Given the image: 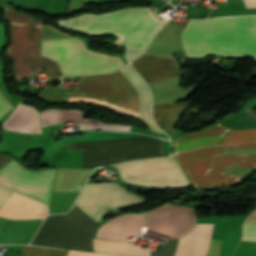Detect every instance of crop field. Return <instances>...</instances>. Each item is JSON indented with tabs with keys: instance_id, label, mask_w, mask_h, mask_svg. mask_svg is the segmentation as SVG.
I'll list each match as a JSON object with an SVG mask.
<instances>
[{
	"instance_id": "24",
	"label": "crop field",
	"mask_w": 256,
	"mask_h": 256,
	"mask_svg": "<svg viewBox=\"0 0 256 256\" xmlns=\"http://www.w3.org/2000/svg\"><path fill=\"white\" fill-rule=\"evenodd\" d=\"M68 251L24 246L18 256H67Z\"/></svg>"
},
{
	"instance_id": "2",
	"label": "crop field",
	"mask_w": 256,
	"mask_h": 256,
	"mask_svg": "<svg viewBox=\"0 0 256 256\" xmlns=\"http://www.w3.org/2000/svg\"><path fill=\"white\" fill-rule=\"evenodd\" d=\"M164 22L156 19L150 8H124L99 16L83 14L58 24L88 35L119 36L113 45L126 48L124 58L129 62L143 51Z\"/></svg>"
},
{
	"instance_id": "33",
	"label": "crop field",
	"mask_w": 256,
	"mask_h": 256,
	"mask_svg": "<svg viewBox=\"0 0 256 256\" xmlns=\"http://www.w3.org/2000/svg\"><path fill=\"white\" fill-rule=\"evenodd\" d=\"M246 8H256V0H243Z\"/></svg>"
},
{
	"instance_id": "32",
	"label": "crop field",
	"mask_w": 256,
	"mask_h": 256,
	"mask_svg": "<svg viewBox=\"0 0 256 256\" xmlns=\"http://www.w3.org/2000/svg\"><path fill=\"white\" fill-rule=\"evenodd\" d=\"M11 191L0 188V204L8 197Z\"/></svg>"
},
{
	"instance_id": "17",
	"label": "crop field",
	"mask_w": 256,
	"mask_h": 256,
	"mask_svg": "<svg viewBox=\"0 0 256 256\" xmlns=\"http://www.w3.org/2000/svg\"><path fill=\"white\" fill-rule=\"evenodd\" d=\"M229 128L216 123L199 132L184 134L174 139L175 153L218 144Z\"/></svg>"
},
{
	"instance_id": "29",
	"label": "crop field",
	"mask_w": 256,
	"mask_h": 256,
	"mask_svg": "<svg viewBox=\"0 0 256 256\" xmlns=\"http://www.w3.org/2000/svg\"><path fill=\"white\" fill-rule=\"evenodd\" d=\"M235 165L238 166H250L256 167V155H245L239 162Z\"/></svg>"
},
{
	"instance_id": "23",
	"label": "crop field",
	"mask_w": 256,
	"mask_h": 256,
	"mask_svg": "<svg viewBox=\"0 0 256 256\" xmlns=\"http://www.w3.org/2000/svg\"><path fill=\"white\" fill-rule=\"evenodd\" d=\"M256 140V129L231 130L221 144Z\"/></svg>"
},
{
	"instance_id": "26",
	"label": "crop field",
	"mask_w": 256,
	"mask_h": 256,
	"mask_svg": "<svg viewBox=\"0 0 256 256\" xmlns=\"http://www.w3.org/2000/svg\"><path fill=\"white\" fill-rule=\"evenodd\" d=\"M81 128H98V129H110V130H124L129 131V126L118 124H104L96 120L83 119L77 123Z\"/></svg>"
},
{
	"instance_id": "20",
	"label": "crop field",
	"mask_w": 256,
	"mask_h": 256,
	"mask_svg": "<svg viewBox=\"0 0 256 256\" xmlns=\"http://www.w3.org/2000/svg\"><path fill=\"white\" fill-rule=\"evenodd\" d=\"M187 104L188 103L154 106L153 118L155 123L170 135L177 119L182 114Z\"/></svg>"
},
{
	"instance_id": "30",
	"label": "crop field",
	"mask_w": 256,
	"mask_h": 256,
	"mask_svg": "<svg viewBox=\"0 0 256 256\" xmlns=\"http://www.w3.org/2000/svg\"><path fill=\"white\" fill-rule=\"evenodd\" d=\"M12 107L10 104L6 101V99L2 96L0 93V118L11 109Z\"/></svg>"
},
{
	"instance_id": "27",
	"label": "crop field",
	"mask_w": 256,
	"mask_h": 256,
	"mask_svg": "<svg viewBox=\"0 0 256 256\" xmlns=\"http://www.w3.org/2000/svg\"><path fill=\"white\" fill-rule=\"evenodd\" d=\"M6 11V19L13 21H23V22H31V23H39L42 24V21L32 20L30 16L25 13L15 12L10 6L3 7Z\"/></svg>"
},
{
	"instance_id": "9",
	"label": "crop field",
	"mask_w": 256,
	"mask_h": 256,
	"mask_svg": "<svg viewBox=\"0 0 256 256\" xmlns=\"http://www.w3.org/2000/svg\"><path fill=\"white\" fill-rule=\"evenodd\" d=\"M144 201L114 183H94L85 184L74 204L98 223L107 215V208H122Z\"/></svg>"
},
{
	"instance_id": "1",
	"label": "crop field",
	"mask_w": 256,
	"mask_h": 256,
	"mask_svg": "<svg viewBox=\"0 0 256 256\" xmlns=\"http://www.w3.org/2000/svg\"><path fill=\"white\" fill-rule=\"evenodd\" d=\"M181 42L189 58L209 53L256 58V16L189 20Z\"/></svg>"
},
{
	"instance_id": "3",
	"label": "crop field",
	"mask_w": 256,
	"mask_h": 256,
	"mask_svg": "<svg viewBox=\"0 0 256 256\" xmlns=\"http://www.w3.org/2000/svg\"><path fill=\"white\" fill-rule=\"evenodd\" d=\"M124 68L143 91L144 112L141 89L123 68L111 74L83 76L80 86L72 91L70 96L97 98L141 114L143 112L145 121L151 130L162 132L156 127L151 117L149 89L130 65L127 64Z\"/></svg>"
},
{
	"instance_id": "12",
	"label": "crop field",
	"mask_w": 256,
	"mask_h": 256,
	"mask_svg": "<svg viewBox=\"0 0 256 256\" xmlns=\"http://www.w3.org/2000/svg\"><path fill=\"white\" fill-rule=\"evenodd\" d=\"M194 216L193 210L165 204L146 212L147 230L171 238L180 237L193 226Z\"/></svg>"
},
{
	"instance_id": "4",
	"label": "crop field",
	"mask_w": 256,
	"mask_h": 256,
	"mask_svg": "<svg viewBox=\"0 0 256 256\" xmlns=\"http://www.w3.org/2000/svg\"><path fill=\"white\" fill-rule=\"evenodd\" d=\"M256 142L209 147L175 155L195 190L234 184L240 176L223 173V170L235 163L241 155L222 156V149L254 148Z\"/></svg>"
},
{
	"instance_id": "10",
	"label": "crop field",
	"mask_w": 256,
	"mask_h": 256,
	"mask_svg": "<svg viewBox=\"0 0 256 256\" xmlns=\"http://www.w3.org/2000/svg\"><path fill=\"white\" fill-rule=\"evenodd\" d=\"M30 245L93 252L92 238L64 214L48 216Z\"/></svg>"
},
{
	"instance_id": "21",
	"label": "crop field",
	"mask_w": 256,
	"mask_h": 256,
	"mask_svg": "<svg viewBox=\"0 0 256 256\" xmlns=\"http://www.w3.org/2000/svg\"><path fill=\"white\" fill-rule=\"evenodd\" d=\"M94 252L120 254L129 256H148V250L138 248L127 242H115L93 239Z\"/></svg>"
},
{
	"instance_id": "31",
	"label": "crop field",
	"mask_w": 256,
	"mask_h": 256,
	"mask_svg": "<svg viewBox=\"0 0 256 256\" xmlns=\"http://www.w3.org/2000/svg\"><path fill=\"white\" fill-rule=\"evenodd\" d=\"M68 256H108V255H98V254H89V253L69 251Z\"/></svg>"
},
{
	"instance_id": "13",
	"label": "crop field",
	"mask_w": 256,
	"mask_h": 256,
	"mask_svg": "<svg viewBox=\"0 0 256 256\" xmlns=\"http://www.w3.org/2000/svg\"><path fill=\"white\" fill-rule=\"evenodd\" d=\"M132 65L146 83L179 77L174 58L143 53Z\"/></svg>"
},
{
	"instance_id": "19",
	"label": "crop field",
	"mask_w": 256,
	"mask_h": 256,
	"mask_svg": "<svg viewBox=\"0 0 256 256\" xmlns=\"http://www.w3.org/2000/svg\"><path fill=\"white\" fill-rule=\"evenodd\" d=\"M2 129H10L28 133L41 132L38 112L28 105L18 104L1 125Z\"/></svg>"
},
{
	"instance_id": "22",
	"label": "crop field",
	"mask_w": 256,
	"mask_h": 256,
	"mask_svg": "<svg viewBox=\"0 0 256 256\" xmlns=\"http://www.w3.org/2000/svg\"><path fill=\"white\" fill-rule=\"evenodd\" d=\"M80 111V110H79ZM75 109L71 110H60V109H50L41 112V121L43 128L54 123L63 122H75L77 123L81 120L84 115Z\"/></svg>"
},
{
	"instance_id": "18",
	"label": "crop field",
	"mask_w": 256,
	"mask_h": 256,
	"mask_svg": "<svg viewBox=\"0 0 256 256\" xmlns=\"http://www.w3.org/2000/svg\"><path fill=\"white\" fill-rule=\"evenodd\" d=\"M42 219L28 221L3 219L0 229V243H29Z\"/></svg>"
},
{
	"instance_id": "15",
	"label": "crop field",
	"mask_w": 256,
	"mask_h": 256,
	"mask_svg": "<svg viewBox=\"0 0 256 256\" xmlns=\"http://www.w3.org/2000/svg\"><path fill=\"white\" fill-rule=\"evenodd\" d=\"M213 223L196 224L179 240L175 256H205Z\"/></svg>"
},
{
	"instance_id": "5",
	"label": "crop field",
	"mask_w": 256,
	"mask_h": 256,
	"mask_svg": "<svg viewBox=\"0 0 256 256\" xmlns=\"http://www.w3.org/2000/svg\"><path fill=\"white\" fill-rule=\"evenodd\" d=\"M40 55L56 61L62 77L105 73L124 65L119 57L87 51L85 43L75 38L42 41Z\"/></svg>"
},
{
	"instance_id": "6",
	"label": "crop field",
	"mask_w": 256,
	"mask_h": 256,
	"mask_svg": "<svg viewBox=\"0 0 256 256\" xmlns=\"http://www.w3.org/2000/svg\"><path fill=\"white\" fill-rule=\"evenodd\" d=\"M156 143H163V141L151 137H144L86 144H66V150ZM160 156H164L163 144L89 149L87 152L85 168H94L95 166L116 163L125 160Z\"/></svg>"
},
{
	"instance_id": "14",
	"label": "crop field",
	"mask_w": 256,
	"mask_h": 256,
	"mask_svg": "<svg viewBox=\"0 0 256 256\" xmlns=\"http://www.w3.org/2000/svg\"><path fill=\"white\" fill-rule=\"evenodd\" d=\"M142 226L144 214L121 215L103 224L95 237L127 241L128 237L140 236Z\"/></svg>"
},
{
	"instance_id": "16",
	"label": "crop field",
	"mask_w": 256,
	"mask_h": 256,
	"mask_svg": "<svg viewBox=\"0 0 256 256\" xmlns=\"http://www.w3.org/2000/svg\"><path fill=\"white\" fill-rule=\"evenodd\" d=\"M46 206L13 193L1 206L0 216L9 219L27 220L42 217Z\"/></svg>"
},
{
	"instance_id": "7",
	"label": "crop field",
	"mask_w": 256,
	"mask_h": 256,
	"mask_svg": "<svg viewBox=\"0 0 256 256\" xmlns=\"http://www.w3.org/2000/svg\"><path fill=\"white\" fill-rule=\"evenodd\" d=\"M120 176L177 168L173 156L140 161H129L114 165ZM127 182L156 187H181L190 185L181 168L120 177ZM133 183V184H134Z\"/></svg>"
},
{
	"instance_id": "25",
	"label": "crop field",
	"mask_w": 256,
	"mask_h": 256,
	"mask_svg": "<svg viewBox=\"0 0 256 256\" xmlns=\"http://www.w3.org/2000/svg\"><path fill=\"white\" fill-rule=\"evenodd\" d=\"M244 220L256 221V209ZM243 221L242 240L256 242V222Z\"/></svg>"
},
{
	"instance_id": "11",
	"label": "crop field",
	"mask_w": 256,
	"mask_h": 256,
	"mask_svg": "<svg viewBox=\"0 0 256 256\" xmlns=\"http://www.w3.org/2000/svg\"><path fill=\"white\" fill-rule=\"evenodd\" d=\"M55 170L27 171L10 158L0 155V186L37 198L48 204Z\"/></svg>"
},
{
	"instance_id": "28",
	"label": "crop field",
	"mask_w": 256,
	"mask_h": 256,
	"mask_svg": "<svg viewBox=\"0 0 256 256\" xmlns=\"http://www.w3.org/2000/svg\"><path fill=\"white\" fill-rule=\"evenodd\" d=\"M42 59H43L44 68L49 77V80L57 79L58 78L57 65L46 58H42Z\"/></svg>"
},
{
	"instance_id": "8",
	"label": "crop field",
	"mask_w": 256,
	"mask_h": 256,
	"mask_svg": "<svg viewBox=\"0 0 256 256\" xmlns=\"http://www.w3.org/2000/svg\"><path fill=\"white\" fill-rule=\"evenodd\" d=\"M42 26L10 22L8 54L13 59V72L17 80L41 70L38 55Z\"/></svg>"
}]
</instances>
